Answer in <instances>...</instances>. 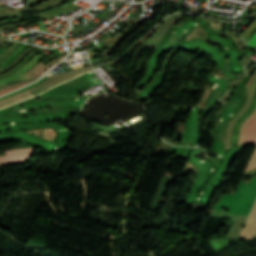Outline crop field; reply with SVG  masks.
I'll use <instances>...</instances> for the list:
<instances>
[{
    "label": "crop field",
    "mask_w": 256,
    "mask_h": 256,
    "mask_svg": "<svg viewBox=\"0 0 256 256\" xmlns=\"http://www.w3.org/2000/svg\"><path fill=\"white\" fill-rule=\"evenodd\" d=\"M255 89H256V79L250 89L246 104L243 106L242 110L239 111L237 113V115L232 119V121L230 122L228 129H227V136H226V142H225V146H224V150L230 147V143H231V134H232V130H233V126L234 123L237 121V119L242 116L244 114V112L247 110V108L249 107V105L252 102L254 93H255Z\"/></svg>",
    "instance_id": "obj_1"
},
{
    "label": "crop field",
    "mask_w": 256,
    "mask_h": 256,
    "mask_svg": "<svg viewBox=\"0 0 256 256\" xmlns=\"http://www.w3.org/2000/svg\"><path fill=\"white\" fill-rule=\"evenodd\" d=\"M42 57L43 56L37 54L24 67H22L16 73L12 74L11 76H9L7 78L0 79V85L9 83V82H15L17 80L29 79L28 77L24 76L23 74L26 73L31 67H33L36 64V62L39 59H41Z\"/></svg>",
    "instance_id": "obj_2"
},
{
    "label": "crop field",
    "mask_w": 256,
    "mask_h": 256,
    "mask_svg": "<svg viewBox=\"0 0 256 256\" xmlns=\"http://www.w3.org/2000/svg\"><path fill=\"white\" fill-rule=\"evenodd\" d=\"M56 76H57V75H56ZM54 77H55V76L50 77L49 79H47V80L44 81L43 83H41V84H39V85H37V86H35V87H33V88H31V89L25 91V92H22V93H20V94H18V95H15V96H12V97H10V98L1 100V101H0V108H1V107H4V106H7V105H9V104H12V103H14V102H17V101H19V100H22V99H24V98H27V97H29V96H33V95H36V94H38V93L43 92V91H41V90H38L37 88L40 87V86H42V85H44L45 83H47L49 80H51V79L54 78Z\"/></svg>",
    "instance_id": "obj_3"
},
{
    "label": "crop field",
    "mask_w": 256,
    "mask_h": 256,
    "mask_svg": "<svg viewBox=\"0 0 256 256\" xmlns=\"http://www.w3.org/2000/svg\"><path fill=\"white\" fill-rule=\"evenodd\" d=\"M256 232V204L242 231L240 240L254 238Z\"/></svg>",
    "instance_id": "obj_4"
},
{
    "label": "crop field",
    "mask_w": 256,
    "mask_h": 256,
    "mask_svg": "<svg viewBox=\"0 0 256 256\" xmlns=\"http://www.w3.org/2000/svg\"><path fill=\"white\" fill-rule=\"evenodd\" d=\"M91 69L92 68L61 74L60 76H58L57 78L53 79L52 81H50L49 83L45 84L44 86L40 87L39 89L45 91V90H47L48 88H50V87H52L54 85H57V84L65 81V80H67L69 78H72V77H74L76 75H79V74H81L83 72H86V71H89Z\"/></svg>",
    "instance_id": "obj_5"
},
{
    "label": "crop field",
    "mask_w": 256,
    "mask_h": 256,
    "mask_svg": "<svg viewBox=\"0 0 256 256\" xmlns=\"http://www.w3.org/2000/svg\"><path fill=\"white\" fill-rule=\"evenodd\" d=\"M244 144H256V117L246 127Z\"/></svg>",
    "instance_id": "obj_6"
},
{
    "label": "crop field",
    "mask_w": 256,
    "mask_h": 256,
    "mask_svg": "<svg viewBox=\"0 0 256 256\" xmlns=\"http://www.w3.org/2000/svg\"><path fill=\"white\" fill-rule=\"evenodd\" d=\"M174 16H172V17H170V18H168L166 21H164L162 24H161V26L157 29V31L155 32V34L150 38V39H148L142 46H141V48L135 53V55H138L143 49H145L154 39H155V37L159 34V33H161V31L164 29V27L167 25V23L169 22V20L171 19V18H173Z\"/></svg>",
    "instance_id": "obj_7"
},
{
    "label": "crop field",
    "mask_w": 256,
    "mask_h": 256,
    "mask_svg": "<svg viewBox=\"0 0 256 256\" xmlns=\"http://www.w3.org/2000/svg\"><path fill=\"white\" fill-rule=\"evenodd\" d=\"M182 15H177V16H175L169 23H168V25L166 26V28L163 30V32L160 34V35H158L157 37H156V39L147 47V48H149V49H153L154 48V46L164 37V35H165V33H166V31H167V29L169 28V26L172 24V23H174L176 20H178L180 17H181Z\"/></svg>",
    "instance_id": "obj_8"
},
{
    "label": "crop field",
    "mask_w": 256,
    "mask_h": 256,
    "mask_svg": "<svg viewBox=\"0 0 256 256\" xmlns=\"http://www.w3.org/2000/svg\"><path fill=\"white\" fill-rule=\"evenodd\" d=\"M256 168V149L251 157V159L249 160L247 166H246V170L245 172L255 169Z\"/></svg>",
    "instance_id": "obj_9"
},
{
    "label": "crop field",
    "mask_w": 256,
    "mask_h": 256,
    "mask_svg": "<svg viewBox=\"0 0 256 256\" xmlns=\"http://www.w3.org/2000/svg\"><path fill=\"white\" fill-rule=\"evenodd\" d=\"M254 116H256V110H255V111L253 112V114L246 120V122L243 124V126L241 125L242 128H241V132H240V138H239L238 145L243 143L244 129H245L247 123H248Z\"/></svg>",
    "instance_id": "obj_10"
},
{
    "label": "crop field",
    "mask_w": 256,
    "mask_h": 256,
    "mask_svg": "<svg viewBox=\"0 0 256 256\" xmlns=\"http://www.w3.org/2000/svg\"><path fill=\"white\" fill-rule=\"evenodd\" d=\"M247 43L250 45L252 49L256 46V32L253 34V36Z\"/></svg>",
    "instance_id": "obj_11"
},
{
    "label": "crop field",
    "mask_w": 256,
    "mask_h": 256,
    "mask_svg": "<svg viewBox=\"0 0 256 256\" xmlns=\"http://www.w3.org/2000/svg\"><path fill=\"white\" fill-rule=\"evenodd\" d=\"M254 51H256V49Z\"/></svg>",
    "instance_id": "obj_12"
},
{
    "label": "crop field",
    "mask_w": 256,
    "mask_h": 256,
    "mask_svg": "<svg viewBox=\"0 0 256 256\" xmlns=\"http://www.w3.org/2000/svg\"><path fill=\"white\" fill-rule=\"evenodd\" d=\"M1 69V68H0Z\"/></svg>",
    "instance_id": "obj_13"
}]
</instances>
